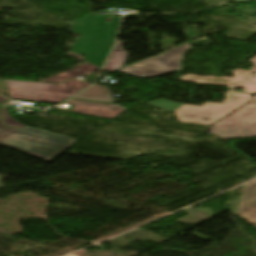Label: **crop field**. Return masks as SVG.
<instances>
[{
    "label": "crop field",
    "mask_w": 256,
    "mask_h": 256,
    "mask_svg": "<svg viewBox=\"0 0 256 256\" xmlns=\"http://www.w3.org/2000/svg\"><path fill=\"white\" fill-rule=\"evenodd\" d=\"M66 104L74 105L72 112L95 115L113 119L118 114L126 110L120 105L96 103V102H86V101H76L70 100Z\"/></svg>",
    "instance_id": "8"
},
{
    "label": "crop field",
    "mask_w": 256,
    "mask_h": 256,
    "mask_svg": "<svg viewBox=\"0 0 256 256\" xmlns=\"http://www.w3.org/2000/svg\"><path fill=\"white\" fill-rule=\"evenodd\" d=\"M237 212L256 225V181L245 186Z\"/></svg>",
    "instance_id": "9"
},
{
    "label": "crop field",
    "mask_w": 256,
    "mask_h": 256,
    "mask_svg": "<svg viewBox=\"0 0 256 256\" xmlns=\"http://www.w3.org/2000/svg\"><path fill=\"white\" fill-rule=\"evenodd\" d=\"M97 69H99V68H97V67L87 63V64H85L83 66L67 70V71H65L63 73H60L58 75H55L53 77L47 78L45 80H42V82L60 83L62 81L71 79V78H73L75 76L84 75V74L90 73V72L95 71Z\"/></svg>",
    "instance_id": "10"
},
{
    "label": "crop field",
    "mask_w": 256,
    "mask_h": 256,
    "mask_svg": "<svg viewBox=\"0 0 256 256\" xmlns=\"http://www.w3.org/2000/svg\"><path fill=\"white\" fill-rule=\"evenodd\" d=\"M250 102H256V96Z\"/></svg>",
    "instance_id": "16"
},
{
    "label": "crop field",
    "mask_w": 256,
    "mask_h": 256,
    "mask_svg": "<svg viewBox=\"0 0 256 256\" xmlns=\"http://www.w3.org/2000/svg\"><path fill=\"white\" fill-rule=\"evenodd\" d=\"M122 43L123 42H121V41H117L106 65L104 67L105 70L112 72V71H115V70L123 67L121 65L124 64L128 55L121 50Z\"/></svg>",
    "instance_id": "12"
},
{
    "label": "crop field",
    "mask_w": 256,
    "mask_h": 256,
    "mask_svg": "<svg viewBox=\"0 0 256 256\" xmlns=\"http://www.w3.org/2000/svg\"><path fill=\"white\" fill-rule=\"evenodd\" d=\"M211 132L223 139L256 136V103L247 104L215 123Z\"/></svg>",
    "instance_id": "6"
},
{
    "label": "crop field",
    "mask_w": 256,
    "mask_h": 256,
    "mask_svg": "<svg viewBox=\"0 0 256 256\" xmlns=\"http://www.w3.org/2000/svg\"><path fill=\"white\" fill-rule=\"evenodd\" d=\"M67 54L72 55V56H74V58H76V59H78V60L83 61V60H82V58H83L82 56H79V55L73 54V53H71V52H69V53H67ZM83 62H85V61H83ZM85 63H87V62H85Z\"/></svg>",
    "instance_id": "14"
},
{
    "label": "crop field",
    "mask_w": 256,
    "mask_h": 256,
    "mask_svg": "<svg viewBox=\"0 0 256 256\" xmlns=\"http://www.w3.org/2000/svg\"><path fill=\"white\" fill-rule=\"evenodd\" d=\"M5 100H8V99L3 98V97L0 96V102L5 101Z\"/></svg>",
    "instance_id": "15"
},
{
    "label": "crop field",
    "mask_w": 256,
    "mask_h": 256,
    "mask_svg": "<svg viewBox=\"0 0 256 256\" xmlns=\"http://www.w3.org/2000/svg\"><path fill=\"white\" fill-rule=\"evenodd\" d=\"M119 19L91 16L82 25L73 24L70 32L80 35L72 52L86 55L85 61L101 68L115 41Z\"/></svg>",
    "instance_id": "1"
},
{
    "label": "crop field",
    "mask_w": 256,
    "mask_h": 256,
    "mask_svg": "<svg viewBox=\"0 0 256 256\" xmlns=\"http://www.w3.org/2000/svg\"><path fill=\"white\" fill-rule=\"evenodd\" d=\"M2 112H3V118H4L5 125L13 126V127H20V128L25 127V125L19 123L18 121H16L13 117H11L8 114L7 108L2 109Z\"/></svg>",
    "instance_id": "13"
},
{
    "label": "crop field",
    "mask_w": 256,
    "mask_h": 256,
    "mask_svg": "<svg viewBox=\"0 0 256 256\" xmlns=\"http://www.w3.org/2000/svg\"><path fill=\"white\" fill-rule=\"evenodd\" d=\"M74 98L114 103L108 89L98 85L92 86Z\"/></svg>",
    "instance_id": "11"
},
{
    "label": "crop field",
    "mask_w": 256,
    "mask_h": 256,
    "mask_svg": "<svg viewBox=\"0 0 256 256\" xmlns=\"http://www.w3.org/2000/svg\"><path fill=\"white\" fill-rule=\"evenodd\" d=\"M251 93H240L228 90L225 101L220 103L207 102L202 106L179 104L165 99H158L148 105L174 111L178 121L212 125L250 99Z\"/></svg>",
    "instance_id": "3"
},
{
    "label": "crop field",
    "mask_w": 256,
    "mask_h": 256,
    "mask_svg": "<svg viewBox=\"0 0 256 256\" xmlns=\"http://www.w3.org/2000/svg\"><path fill=\"white\" fill-rule=\"evenodd\" d=\"M75 140L47 131L26 127L22 130L4 127L0 116V144L32 156L51 160L70 147Z\"/></svg>",
    "instance_id": "2"
},
{
    "label": "crop field",
    "mask_w": 256,
    "mask_h": 256,
    "mask_svg": "<svg viewBox=\"0 0 256 256\" xmlns=\"http://www.w3.org/2000/svg\"><path fill=\"white\" fill-rule=\"evenodd\" d=\"M250 61L255 64V66L252 67L250 71L242 70V69H240L241 71H239V69H237L232 73L235 75V77H232V78L225 77V76L223 77L195 76L197 78H193L191 77L193 75H187V76L181 77V79L203 82V83H210V84H217V85H222L230 88L237 85V86L246 88L244 92L256 93V74L255 75L250 74L251 72H256V57L252 58Z\"/></svg>",
    "instance_id": "7"
},
{
    "label": "crop field",
    "mask_w": 256,
    "mask_h": 256,
    "mask_svg": "<svg viewBox=\"0 0 256 256\" xmlns=\"http://www.w3.org/2000/svg\"><path fill=\"white\" fill-rule=\"evenodd\" d=\"M190 45L189 43H184L158 57H150L118 71L138 78H151L174 70L179 71L181 69L182 54L185 53Z\"/></svg>",
    "instance_id": "5"
},
{
    "label": "crop field",
    "mask_w": 256,
    "mask_h": 256,
    "mask_svg": "<svg viewBox=\"0 0 256 256\" xmlns=\"http://www.w3.org/2000/svg\"><path fill=\"white\" fill-rule=\"evenodd\" d=\"M11 98L60 103L90 84L72 79L61 85L6 81Z\"/></svg>",
    "instance_id": "4"
}]
</instances>
